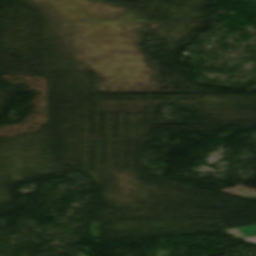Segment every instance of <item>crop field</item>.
<instances>
[{
  "instance_id": "obj_1",
  "label": "crop field",
  "mask_w": 256,
  "mask_h": 256,
  "mask_svg": "<svg viewBox=\"0 0 256 256\" xmlns=\"http://www.w3.org/2000/svg\"><path fill=\"white\" fill-rule=\"evenodd\" d=\"M226 234L235 236V237H239V238L256 235V225L229 229V230H227Z\"/></svg>"
},
{
  "instance_id": "obj_2",
  "label": "crop field",
  "mask_w": 256,
  "mask_h": 256,
  "mask_svg": "<svg viewBox=\"0 0 256 256\" xmlns=\"http://www.w3.org/2000/svg\"><path fill=\"white\" fill-rule=\"evenodd\" d=\"M244 240H247L249 242H252V243H256V236L254 237H248V238H243Z\"/></svg>"
}]
</instances>
